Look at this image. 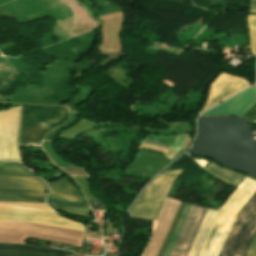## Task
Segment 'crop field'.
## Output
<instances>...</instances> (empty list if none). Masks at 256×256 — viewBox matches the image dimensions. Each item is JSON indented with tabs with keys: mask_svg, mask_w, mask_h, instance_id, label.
Wrapping results in <instances>:
<instances>
[{
	"mask_svg": "<svg viewBox=\"0 0 256 256\" xmlns=\"http://www.w3.org/2000/svg\"><path fill=\"white\" fill-rule=\"evenodd\" d=\"M208 209L192 206L170 256H187Z\"/></svg>",
	"mask_w": 256,
	"mask_h": 256,
	"instance_id": "obj_6",
	"label": "crop field"
},
{
	"mask_svg": "<svg viewBox=\"0 0 256 256\" xmlns=\"http://www.w3.org/2000/svg\"><path fill=\"white\" fill-rule=\"evenodd\" d=\"M249 11L256 12V0H251V8Z\"/></svg>",
	"mask_w": 256,
	"mask_h": 256,
	"instance_id": "obj_23",
	"label": "crop field"
},
{
	"mask_svg": "<svg viewBox=\"0 0 256 256\" xmlns=\"http://www.w3.org/2000/svg\"><path fill=\"white\" fill-rule=\"evenodd\" d=\"M209 171L210 173L214 174L218 178L234 185H239V183L243 180L244 176H241L239 174L233 173L231 171L225 170L223 168H220L213 163L210 162V164L205 169Z\"/></svg>",
	"mask_w": 256,
	"mask_h": 256,
	"instance_id": "obj_14",
	"label": "crop field"
},
{
	"mask_svg": "<svg viewBox=\"0 0 256 256\" xmlns=\"http://www.w3.org/2000/svg\"><path fill=\"white\" fill-rule=\"evenodd\" d=\"M88 202L93 210L100 209L103 207L102 203L99 201H88Z\"/></svg>",
	"mask_w": 256,
	"mask_h": 256,
	"instance_id": "obj_22",
	"label": "crop field"
},
{
	"mask_svg": "<svg viewBox=\"0 0 256 256\" xmlns=\"http://www.w3.org/2000/svg\"><path fill=\"white\" fill-rule=\"evenodd\" d=\"M217 211L209 209L188 256H197Z\"/></svg>",
	"mask_w": 256,
	"mask_h": 256,
	"instance_id": "obj_13",
	"label": "crop field"
},
{
	"mask_svg": "<svg viewBox=\"0 0 256 256\" xmlns=\"http://www.w3.org/2000/svg\"><path fill=\"white\" fill-rule=\"evenodd\" d=\"M232 99V98H231ZM256 102V88L255 86L249 90L243 92L232 100L202 114H220L229 113L242 115L247 109H249Z\"/></svg>",
	"mask_w": 256,
	"mask_h": 256,
	"instance_id": "obj_9",
	"label": "crop field"
},
{
	"mask_svg": "<svg viewBox=\"0 0 256 256\" xmlns=\"http://www.w3.org/2000/svg\"><path fill=\"white\" fill-rule=\"evenodd\" d=\"M190 207H191L190 205H187V204L185 205V207H184V209L182 211V214H181V216L179 218V221H178V223H177V225L175 227V230H174V232H173V234L171 236V239H170V241L168 243V246H167L163 256H169L170 251H171V249H172V247L174 245V242H175V240H176V238L178 236V233H179V231H180V229L182 227V224H183V222H184V220H185V218L187 216V213H188Z\"/></svg>",
	"mask_w": 256,
	"mask_h": 256,
	"instance_id": "obj_17",
	"label": "crop field"
},
{
	"mask_svg": "<svg viewBox=\"0 0 256 256\" xmlns=\"http://www.w3.org/2000/svg\"><path fill=\"white\" fill-rule=\"evenodd\" d=\"M256 229V192L237 214L219 256H244Z\"/></svg>",
	"mask_w": 256,
	"mask_h": 256,
	"instance_id": "obj_2",
	"label": "crop field"
},
{
	"mask_svg": "<svg viewBox=\"0 0 256 256\" xmlns=\"http://www.w3.org/2000/svg\"><path fill=\"white\" fill-rule=\"evenodd\" d=\"M18 107L9 108L3 111L14 109ZM21 112V107H20ZM19 108L7 112L0 113V158L19 159L16 149V135H17V124H18ZM20 120V114H19ZM19 128V125H18ZM18 136V135H17ZM0 159V160H10ZM10 161H21L10 160Z\"/></svg>",
	"mask_w": 256,
	"mask_h": 256,
	"instance_id": "obj_5",
	"label": "crop field"
},
{
	"mask_svg": "<svg viewBox=\"0 0 256 256\" xmlns=\"http://www.w3.org/2000/svg\"><path fill=\"white\" fill-rule=\"evenodd\" d=\"M215 81V80H214ZM212 85V84H211ZM251 84L241 77L228 73H221L211 86L207 100L202 107L201 112L232 96L238 91L250 86Z\"/></svg>",
	"mask_w": 256,
	"mask_h": 256,
	"instance_id": "obj_7",
	"label": "crop field"
},
{
	"mask_svg": "<svg viewBox=\"0 0 256 256\" xmlns=\"http://www.w3.org/2000/svg\"><path fill=\"white\" fill-rule=\"evenodd\" d=\"M67 112L55 107L23 106L20 145L39 146L45 132L53 129Z\"/></svg>",
	"mask_w": 256,
	"mask_h": 256,
	"instance_id": "obj_1",
	"label": "crop field"
},
{
	"mask_svg": "<svg viewBox=\"0 0 256 256\" xmlns=\"http://www.w3.org/2000/svg\"><path fill=\"white\" fill-rule=\"evenodd\" d=\"M60 169L71 177H88L84 169H70V168H60Z\"/></svg>",
	"mask_w": 256,
	"mask_h": 256,
	"instance_id": "obj_20",
	"label": "crop field"
},
{
	"mask_svg": "<svg viewBox=\"0 0 256 256\" xmlns=\"http://www.w3.org/2000/svg\"><path fill=\"white\" fill-rule=\"evenodd\" d=\"M245 256H256V232L253 236V239L250 243V246H249Z\"/></svg>",
	"mask_w": 256,
	"mask_h": 256,
	"instance_id": "obj_21",
	"label": "crop field"
},
{
	"mask_svg": "<svg viewBox=\"0 0 256 256\" xmlns=\"http://www.w3.org/2000/svg\"><path fill=\"white\" fill-rule=\"evenodd\" d=\"M0 176L36 177L32 173L24 169L19 163L6 162H0Z\"/></svg>",
	"mask_w": 256,
	"mask_h": 256,
	"instance_id": "obj_15",
	"label": "crop field"
},
{
	"mask_svg": "<svg viewBox=\"0 0 256 256\" xmlns=\"http://www.w3.org/2000/svg\"><path fill=\"white\" fill-rule=\"evenodd\" d=\"M50 198H51L53 205L57 209L68 212V213H72V214L90 218V216L86 212L87 209H90L89 205L77 203V202H73V201H69V200H64V199H60V198H55V197H51V196H50Z\"/></svg>",
	"mask_w": 256,
	"mask_h": 256,
	"instance_id": "obj_12",
	"label": "crop field"
},
{
	"mask_svg": "<svg viewBox=\"0 0 256 256\" xmlns=\"http://www.w3.org/2000/svg\"><path fill=\"white\" fill-rule=\"evenodd\" d=\"M0 249L36 251V252H42V253L58 255V256H65V252H66L63 250H57V249H52V248L20 245V244H10V243H0ZM0 256H48V255H43V254H38V253H30V252L0 251Z\"/></svg>",
	"mask_w": 256,
	"mask_h": 256,
	"instance_id": "obj_10",
	"label": "crop field"
},
{
	"mask_svg": "<svg viewBox=\"0 0 256 256\" xmlns=\"http://www.w3.org/2000/svg\"><path fill=\"white\" fill-rule=\"evenodd\" d=\"M46 208V204H44ZM43 204H31V203H7L0 202V209L5 210H35V211H52L51 209L47 210Z\"/></svg>",
	"mask_w": 256,
	"mask_h": 256,
	"instance_id": "obj_16",
	"label": "crop field"
},
{
	"mask_svg": "<svg viewBox=\"0 0 256 256\" xmlns=\"http://www.w3.org/2000/svg\"><path fill=\"white\" fill-rule=\"evenodd\" d=\"M182 170L162 172L144 190L131 209L132 216L158 220L168 192Z\"/></svg>",
	"mask_w": 256,
	"mask_h": 256,
	"instance_id": "obj_3",
	"label": "crop field"
},
{
	"mask_svg": "<svg viewBox=\"0 0 256 256\" xmlns=\"http://www.w3.org/2000/svg\"><path fill=\"white\" fill-rule=\"evenodd\" d=\"M0 221L33 222L84 231L82 225L71 220L56 217L53 213L0 210Z\"/></svg>",
	"mask_w": 256,
	"mask_h": 256,
	"instance_id": "obj_8",
	"label": "crop field"
},
{
	"mask_svg": "<svg viewBox=\"0 0 256 256\" xmlns=\"http://www.w3.org/2000/svg\"><path fill=\"white\" fill-rule=\"evenodd\" d=\"M251 49L256 54V15H248Z\"/></svg>",
	"mask_w": 256,
	"mask_h": 256,
	"instance_id": "obj_19",
	"label": "crop field"
},
{
	"mask_svg": "<svg viewBox=\"0 0 256 256\" xmlns=\"http://www.w3.org/2000/svg\"><path fill=\"white\" fill-rule=\"evenodd\" d=\"M46 190L39 178L0 177V201L45 203Z\"/></svg>",
	"mask_w": 256,
	"mask_h": 256,
	"instance_id": "obj_4",
	"label": "crop field"
},
{
	"mask_svg": "<svg viewBox=\"0 0 256 256\" xmlns=\"http://www.w3.org/2000/svg\"><path fill=\"white\" fill-rule=\"evenodd\" d=\"M186 135H187V134L177 136V138H176V140H175V142H174V144H173V146H172L171 148H170L169 146L159 145V144L150 143V142H145V141H142V143L169 150V151L166 153V155H165L167 158H168V157L170 156V154L174 151V152L171 154V156L169 157V159H170L173 155H175V154L179 151V149H180V147H181V145H182V143H183V141H184ZM142 143H141V144H142ZM169 148L172 149L173 151H171Z\"/></svg>",
	"mask_w": 256,
	"mask_h": 256,
	"instance_id": "obj_18",
	"label": "crop field"
},
{
	"mask_svg": "<svg viewBox=\"0 0 256 256\" xmlns=\"http://www.w3.org/2000/svg\"><path fill=\"white\" fill-rule=\"evenodd\" d=\"M68 181L62 177L56 181L47 182L48 186L50 187L49 195L87 204L82 192L78 193L75 187Z\"/></svg>",
	"mask_w": 256,
	"mask_h": 256,
	"instance_id": "obj_11",
	"label": "crop field"
}]
</instances>
